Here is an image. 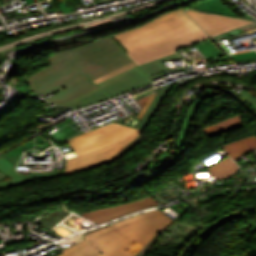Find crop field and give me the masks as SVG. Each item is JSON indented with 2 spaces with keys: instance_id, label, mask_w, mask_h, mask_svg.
I'll use <instances>...</instances> for the list:
<instances>
[{
  "instance_id": "obj_23",
  "label": "crop field",
  "mask_w": 256,
  "mask_h": 256,
  "mask_svg": "<svg viewBox=\"0 0 256 256\" xmlns=\"http://www.w3.org/2000/svg\"><path fill=\"white\" fill-rule=\"evenodd\" d=\"M240 98L248 102L256 110V97L246 91H243L240 95Z\"/></svg>"
},
{
  "instance_id": "obj_6",
  "label": "crop field",
  "mask_w": 256,
  "mask_h": 256,
  "mask_svg": "<svg viewBox=\"0 0 256 256\" xmlns=\"http://www.w3.org/2000/svg\"><path fill=\"white\" fill-rule=\"evenodd\" d=\"M172 221L166 214L156 209L123 219L111 225L145 246Z\"/></svg>"
},
{
  "instance_id": "obj_9",
  "label": "crop field",
  "mask_w": 256,
  "mask_h": 256,
  "mask_svg": "<svg viewBox=\"0 0 256 256\" xmlns=\"http://www.w3.org/2000/svg\"><path fill=\"white\" fill-rule=\"evenodd\" d=\"M154 205L158 204L150 196L148 198L130 204L83 212L82 214L90 218L91 220L101 224L108 220Z\"/></svg>"
},
{
  "instance_id": "obj_17",
  "label": "crop field",
  "mask_w": 256,
  "mask_h": 256,
  "mask_svg": "<svg viewBox=\"0 0 256 256\" xmlns=\"http://www.w3.org/2000/svg\"><path fill=\"white\" fill-rule=\"evenodd\" d=\"M176 59H178V55L175 53V54L169 55L167 57H164V58H161V59H158V60H155V61L143 64V65H139V67L148 76H151V75H154L156 73H160V72H162L164 70H167V68L161 62L170 61V60H176Z\"/></svg>"
},
{
  "instance_id": "obj_21",
  "label": "crop field",
  "mask_w": 256,
  "mask_h": 256,
  "mask_svg": "<svg viewBox=\"0 0 256 256\" xmlns=\"http://www.w3.org/2000/svg\"><path fill=\"white\" fill-rule=\"evenodd\" d=\"M231 57H233V59L236 63L249 61V60H255L256 59V51L249 52V53L238 54V55H233Z\"/></svg>"
},
{
  "instance_id": "obj_5",
  "label": "crop field",
  "mask_w": 256,
  "mask_h": 256,
  "mask_svg": "<svg viewBox=\"0 0 256 256\" xmlns=\"http://www.w3.org/2000/svg\"><path fill=\"white\" fill-rule=\"evenodd\" d=\"M85 233L86 239L58 256H134L144 246L111 225ZM92 239L105 253L101 255L87 240Z\"/></svg>"
},
{
  "instance_id": "obj_20",
  "label": "crop field",
  "mask_w": 256,
  "mask_h": 256,
  "mask_svg": "<svg viewBox=\"0 0 256 256\" xmlns=\"http://www.w3.org/2000/svg\"><path fill=\"white\" fill-rule=\"evenodd\" d=\"M157 93L153 94V95H149L146 96L144 98H141L139 100H137V102L139 103V105L143 108L140 112V114L137 116L138 118H142V116L144 115L145 111L147 110V108L149 107V105L151 104V102L153 101L155 95Z\"/></svg>"
},
{
  "instance_id": "obj_12",
  "label": "crop field",
  "mask_w": 256,
  "mask_h": 256,
  "mask_svg": "<svg viewBox=\"0 0 256 256\" xmlns=\"http://www.w3.org/2000/svg\"><path fill=\"white\" fill-rule=\"evenodd\" d=\"M108 98L109 97L100 88H98L94 91H91L87 94L77 97L63 105L73 108V109H76L78 107L96 104V103L103 101L105 99H108Z\"/></svg>"
},
{
  "instance_id": "obj_2",
  "label": "crop field",
  "mask_w": 256,
  "mask_h": 256,
  "mask_svg": "<svg viewBox=\"0 0 256 256\" xmlns=\"http://www.w3.org/2000/svg\"><path fill=\"white\" fill-rule=\"evenodd\" d=\"M141 132L111 123L66 141L79 157L67 161L65 174L118 159L142 139Z\"/></svg>"
},
{
  "instance_id": "obj_14",
  "label": "crop field",
  "mask_w": 256,
  "mask_h": 256,
  "mask_svg": "<svg viewBox=\"0 0 256 256\" xmlns=\"http://www.w3.org/2000/svg\"><path fill=\"white\" fill-rule=\"evenodd\" d=\"M243 126V123L241 121V116H236L234 118L228 119L226 121L219 122L217 124H214L212 126H209L204 129L205 134L210 137L214 136L216 134H219L223 131H228L237 127Z\"/></svg>"
},
{
  "instance_id": "obj_18",
  "label": "crop field",
  "mask_w": 256,
  "mask_h": 256,
  "mask_svg": "<svg viewBox=\"0 0 256 256\" xmlns=\"http://www.w3.org/2000/svg\"><path fill=\"white\" fill-rule=\"evenodd\" d=\"M198 103H199V101H195L194 104H193V105L190 107V109H189L187 118H186V120H185L183 129H182V133H181L180 139H179V141H178V145H182V144H183L184 137H185L186 132H187V129H188L190 123H191V120H192L194 111H195V109H196Z\"/></svg>"
},
{
  "instance_id": "obj_16",
  "label": "crop field",
  "mask_w": 256,
  "mask_h": 256,
  "mask_svg": "<svg viewBox=\"0 0 256 256\" xmlns=\"http://www.w3.org/2000/svg\"><path fill=\"white\" fill-rule=\"evenodd\" d=\"M171 87L172 86L170 85V86L166 87L165 89H163L162 91L160 90L158 92L156 98L154 99V101L152 102V104L150 105L148 110L146 111L145 115L142 118L143 120H141V122L139 123L137 128H139V129H144L145 128V126L148 124V122L150 121L153 114L156 112V110H157L160 102L162 101V99L170 91Z\"/></svg>"
},
{
  "instance_id": "obj_13",
  "label": "crop field",
  "mask_w": 256,
  "mask_h": 256,
  "mask_svg": "<svg viewBox=\"0 0 256 256\" xmlns=\"http://www.w3.org/2000/svg\"><path fill=\"white\" fill-rule=\"evenodd\" d=\"M237 169L238 166L236 163L228 157L216 165L210 167L209 171L214 177H216L218 180H221L233 175Z\"/></svg>"
},
{
  "instance_id": "obj_8",
  "label": "crop field",
  "mask_w": 256,
  "mask_h": 256,
  "mask_svg": "<svg viewBox=\"0 0 256 256\" xmlns=\"http://www.w3.org/2000/svg\"><path fill=\"white\" fill-rule=\"evenodd\" d=\"M149 83H151L149 79L136 66L114 78L98 84V86L112 98L138 89Z\"/></svg>"
},
{
  "instance_id": "obj_3",
  "label": "crop field",
  "mask_w": 256,
  "mask_h": 256,
  "mask_svg": "<svg viewBox=\"0 0 256 256\" xmlns=\"http://www.w3.org/2000/svg\"><path fill=\"white\" fill-rule=\"evenodd\" d=\"M63 58L68 60L91 81L131 63L125 51L111 37L80 48L59 52L51 56L49 62L53 64Z\"/></svg>"
},
{
  "instance_id": "obj_10",
  "label": "crop field",
  "mask_w": 256,
  "mask_h": 256,
  "mask_svg": "<svg viewBox=\"0 0 256 256\" xmlns=\"http://www.w3.org/2000/svg\"><path fill=\"white\" fill-rule=\"evenodd\" d=\"M227 153L236 160L238 157L256 148V136L243 138L239 141L224 145Z\"/></svg>"
},
{
  "instance_id": "obj_7",
  "label": "crop field",
  "mask_w": 256,
  "mask_h": 256,
  "mask_svg": "<svg viewBox=\"0 0 256 256\" xmlns=\"http://www.w3.org/2000/svg\"><path fill=\"white\" fill-rule=\"evenodd\" d=\"M186 13L210 36L219 35L233 28L254 23L252 21H245L196 10H186Z\"/></svg>"
},
{
  "instance_id": "obj_24",
  "label": "crop field",
  "mask_w": 256,
  "mask_h": 256,
  "mask_svg": "<svg viewBox=\"0 0 256 256\" xmlns=\"http://www.w3.org/2000/svg\"><path fill=\"white\" fill-rule=\"evenodd\" d=\"M66 5H67L66 2H62V3L58 4L59 8L63 11L64 14L70 13L74 9V7L67 8Z\"/></svg>"
},
{
  "instance_id": "obj_4",
  "label": "crop field",
  "mask_w": 256,
  "mask_h": 256,
  "mask_svg": "<svg viewBox=\"0 0 256 256\" xmlns=\"http://www.w3.org/2000/svg\"><path fill=\"white\" fill-rule=\"evenodd\" d=\"M88 79L65 59L37 72L26 81L33 92L41 97L56 90L60 93L46 99L59 105L91 90L98 88L95 84H85Z\"/></svg>"
},
{
  "instance_id": "obj_19",
  "label": "crop field",
  "mask_w": 256,
  "mask_h": 256,
  "mask_svg": "<svg viewBox=\"0 0 256 256\" xmlns=\"http://www.w3.org/2000/svg\"><path fill=\"white\" fill-rule=\"evenodd\" d=\"M193 32L200 30V28L189 19L182 9H177L173 11Z\"/></svg>"
},
{
  "instance_id": "obj_25",
  "label": "crop field",
  "mask_w": 256,
  "mask_h": 256,
  "mask_svg": "<svg viewBox=\"0 0 256 256\" xmlns=\"http://www.w3.org/2000/svg\"><path fill=\"white\" fill-rule=\"evenodd\" d=\"M154 241V240H153ZM153 241H151L148 245H146L141 251H139L135 256H145L147 250L152 245Z\"/></svg>"
},
{
  "instance_id": "obj_11",
  "label": "crop field",
  "mask_w": 256,
  "mask_h": 256,
  "mask_svg": "<svg viewBox=\"0 0 256 256\" xmlns=\"http://www.w3.org/2000/svg\"><path fill=\"white\" fill-rule=\"evenodd\" d=\"M0 172L6 174L7 176L11 177L12 179L1 181L0 182V190L5 189L9 186L33 181L25 176L17 174L14 169L13 165L7 161L6 159L0 157Z\"/></svg>"
},
{
  "instance_id": "obj_15",
  "label": "crop field",
  "mask_w": 256,
  "mask_h": 256,
  "mask_svg": "<svg viewBox=\"0 0 256 256\" xmlns=\"http://www.w3.org/2000/svg\"><path fill=\"white\" fill-rule=\"evenodd\" d=\"M193 8L201 11L214 12V13H220V14L238 17L233 13V11L229 10L219 0H206L205 2L202 1L195 4Z\"/></svg>"
},
{
  "instance_id": "obj_22",
  "label": "crop field",
  "mask_w": 256,
  "mask_h": 256,
  "mask_svg": "<svg viewBox=\"0 0 256 256\" xmlns=\"http://www.w3.org/2000/svg\"><path fill=\"white\" fill-rule=\"evenodd\" d=\"M134 66H135V65H134L133 63L128 64V65H126V66H124V67H122V68H120V69H117V70H115V71H113V72H111V73H109V74H107V75H105V76H102V77H100V78L94 80V82L97 84V83H99V82H101V81H103V80H106V79H108V78H111V77H113V76H115V75H117V74H119V73H121V72H123V71H125V70H127V69H130V68L134 67Z\"/></svg>"
},
{
  "instance_id": "obj_1",
  "label": "crop field",
  "mask_w": 256,
  "mask_h": 256,
  "mask_svg": "<svg viewBox=\"0 0 256 256\" xmlns=\"http://www.w3.org/2000/svg\"><path fill=\"white\" fill-rule=\"evenodd\" d=\"M207 37L202 30L193 33L173 12L112 36L137 65L175 53L173 50Z\"/></svg>"
}]
</instances>
